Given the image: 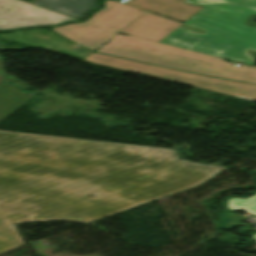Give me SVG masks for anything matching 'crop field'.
<instances>
[{"mask_svg": "<svg viewBox=\"0 0 256 256\" xmlns=\"http://www.w3.org/2000/svg\"><path fill=\"white\" fill-rule=\"evenodd\" d=\"M251 238H253L254 240H256V235L252 236Z\"/></svg>", "mask_w": 256, "mask_h": 256, "instance_id": "16", "label": "crop field"}, {"mask_svg": "<svg viewBox=\"0 0 256 256\" xmlns=\"http://www.w3.org/2000/svg\"><path fill=\"white\" fill-rule=\"evenodd\" d=\"M77 20L20 0H0V30Z\"/></svg>", "mask_w": 256, "mask_h": 256, "instance_id": "6", "label": "crop field"}, {"mask_svg": "<svg viewBox=\"0 0 256 256\" xmlns=\"http://www.w3.org/2000/svg\"><path fill=\"white\" fill-rule=\"evenodd\" d=\"M225 216L227 218H229L231 220V222L226 224L224 227H226V226H228V225H230L232 223L239 222V221H241V220L246 218V217H242V216H240L238 214H234V213H225Z\"/></svg>", "mask_w": 256, "mask_h": 256, "instance_id": "14", "label": "crop field"}, {"mask_svg": "<svg viewBox=\"0 0 256 256\" xmlns=\"http://www.w3.org/2000/svg\"><path fill=\"white\" fill-rule=\"evenodd\" d=\"M32 3L80 20L97 6L96 0H35Z\"/></svg>", "mask_w": 256, "mask_h": 256, "instance_id": "10", "label": "crop field"}, {"mask_svg": "<svg viewBox=\"0 0 256 256\" xmlns=\"http://www.w3.org/2000/svg\"><path fill=\"white\" fill-rule=\"evenodd\" d=\"M219 164L159 148L0 131V212L13 223H88L196 186L226 168Z\"/></svg>", "mask_w": 256, "mask_h": 256, "instance_id": "1", "label": "crop field"}, {"mask_svg": "<svg viewBox=\"0 0 256 256\" xmlns=\"http://www.w3.org/2000/svg\"><path fill=\"white\" fill-rule=\"evenodd\" d=\"M20 236L9 217L0 213V253L24 245Z\"/></svg>", "mask_w": 256, "mask_h": 256, "instance_id": "12", "label": "crop field"}, {"mask_svg": "<svg viewBox=\"0 0 256 256\" xmlns=\"http://www.w3.org/2000/svg\"><path fill=\"white\" fill-rule=\"evenodd\" d=\"M227 207L230 211L245 210L256 215V195L248 199L229 198Z\"/></svg>", "mask_w": 256, "mask_h": 256, "instance_id": "13", "label": "crop field"}, {"mask_svg": "<svg viewBox=\"0 0 256 256\" xmlns=\"http://www.w3.org/2000/svg\"><path fill=\"white\" fill-rule=\"evenodd\" d=\"M84 60L150 77L187 83L207 90L256 101L255 85L204 77L172 69L110 57L95 52L90 54Z\"/></svg>", "mask_w": 256, "mask_h": 256, "instance_id": "4", "label": "crop field"}, {"mask_svg": "<svg viewBox=\"0 0 256 256\" xmlns=\"http://www.w3.org/2000/svg\"><path fill=\"white\" fill-rule=\"evenodd\" d=\"M205 6L184 24L208 31L197 34L181 27L160 43L207 53L225 59L253 65L246 53L256 50V27L243 23L250 14L256 15V0H186Z\"/></svg>", "mask_w": 256, "mask_h": 256, "instance_id": "2", "label": "crop field"}, {"mask_svg": "<svg viewBox=\"0 0 256 256\" xmlns=\"http://www.w3.org/2000/svg\"><path fill=\"white\" fill-rule=\"evenodd\" d=\"M98 52L256 84V67L131 36L116 35ZM234 64H240L239 67Z\"/></svg>", "mask_w": 256, "mask_h": 256, "instance_id": "3", "label": "crop field"}, {"mask_svg": "<svg viewBox=\"0 0 256 256\" xmlns=\"http://www.w3.org/2000/svg\"><path fill=\"white\" fill-rule=\"evenodd\" d=\"M143 12L142 10L107 0L104 8L85 23L60 26L52 30L95 51Z\"/></svg>", "mask_w": 256, "mask_h": 256, "instance_id": "5", "label": "crop field"}, {"mask_svg": "<svg viewBox=\"0 0 256 256\" xmlns=\"http://www.w3.org/2000/svg\"><path fill=\"white\" fill-rule=\"evenodd\" d=\"M33 95L25 93L11 83L0 85V121L30 100Z\"/></svg>", "mask_w": 256, "mask_h": 256, "instance_id": "11", "label": "crop field"}, {"mask_svg": "<svg viewBox=\"0 0 256 256\" xmlns=\"http://www.w3.org/2000/svg\"><path fill=\"white\" fill-rule=\"evenodd\" d=\"M185 0H134L130 5L185 22L203 7Z\"/></svg>", "mask_w": 256, "mask_h": 256, "instance_id": "9", "label": "crop field"}, {"mask_svg": "<svg viewBox=\"0 0 256 256\" xmlns=\"http://www.w3.org/2000/svg\"><path fill=\"white\" fill-rule=\"evenodd\" d=\"M4 82V74H3V68H2V61L0 58V84Z\"/></svg>", "mask_w": 256, "mask_h": 256, "instance_id": "15", "label": "crop field"}, {"mask_svg": "<svg viewBox=\"0 0 256 256\" xmlns=\"http://www.w3.org/2000/svg\"><path fill=\"white\" fill-rule=\"evenodd\" d=\"M182 23L145 12L121 33L159 42Z\"/></svg>", "mask_w": 256, "mask_h": 256, "instance_id": "8", "label": "crop field"}, {"mask_svg": "<svg viewBox=\"0 0 256 256\" xmlns=\"http://www.w3.org/2000/svg\"><path fill=\"white\" fill-rule=\"evenodd\" d=\"M58 36L46 29H31L27 31L0 34V37L17 40L37 48L81 59H84L92 52Z\"/></svg>", "mask_w": 256, "mask_h": 256, "instance_id": "7", "label": "crop field"}]
</instances>
